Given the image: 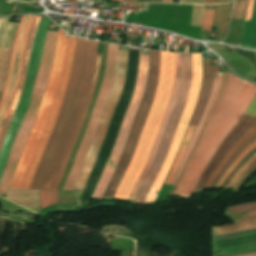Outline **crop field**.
Segmentation results:
<instances>
[{"label":"crop field","mask_w":256,"mask_h":256,"mask_svg":"<svg viewBox=\"0 0 256 256\" xmlns=\"http://www.w3.org/2000/svg\"><path fill=\"white\" fill-rule=\"evenodd\" d=\"M228 76H229V72H227L226 75H225V77H224L222 89H221V91H220V93H219V96H218V98H217V100H216V102H215V105H214V107H213V109H212V111H211V113H210V115H209V117H208V119H207V122H206V125H205L204 129L206 128L208 122L210 121V119H211V117H212V115H213V113H214V110H215V108H216V106H217V103H218V101H219V99H220V97H221V95H222V93H223V91H224V88H225V85H226ZM204 129H203V131H204ZM203 131H202V133H203ZM202 133H201V135H202ZM201 135H200V137H201ZM200 137L198 138V140H197V142H196V144H195V146H194V148H193V151H192V153H191V155H190V157H189V159H188V161H187V163H186V165H185V167H184V169H183V171H182V173H181V175H180V177H179V179H178V181H177V183H176V185H175V187L178 185V183H179V181H180V178H181V176H182V174H183V172H184V170H185V168H186V166H187V164H188V162H189V160H190V158H191V156H192V154H193V152H194V150H195V148H196V146H197V144H198V142H199V140H200Z\"/></svg>","instance_id":"crop-field-29"},{"label":"crop field","mask_w":256,"mask_h":256,"mask_svg":"<svg viewBox=\"0 0 256 256\" xmlns=\"http://www.w3.org/2000/svg\"><path fill=\"white\" fill-rule=\"evenodd\" d=\"M125 2H135V0H124ZM163 2L172 3V0H162ZM161 0H149V2H162ZM136 2H148V0H136Z\"/></svg>","instance_id":"crop-field-41"},{"label":"crop field","mask_w":256,"mask_h":256,"mask_svg":"<svg viewBox=\"0 0 256 256\" xmlns=\"http://www.w3.org/2000/svg\"><path fill=\"white\" fill-rule=\"evenodd\" d=\"M236 1V0H235Z\"/></svg>","instance_id":"crop-field-54"},{"label":"crop field","mask_w":256,"mask_h":256,"mask_svg":"<svg viewBox=\"0 0 256 256\" xmlns=\"http://www.w3.org/2000/svg\"><path fill=\"white\" fill-rule=\"evenodd\" d=\"M26 17L27 16H22L21 22H20V25H19V29H18L17 35H16L15 40H14V44H13V48H12V54H11V60H10V66H9V72H8L7 80H6L4 90H3V93H2V96H1V99H0V114L3 110L5 100H6V96H7V93L9 91V89H10V86H11L15 54H16L20 34H21V31H22L23 25L25 23Z\"/></svg>","instance_id":"crop-field-22"},{"label":"crop field","mask_w":256,"mask_h":256,"mask_svg":"<svg viewBox=\"0 0 256 256\" xmlns=\"http://www.w3.org/2000/svg\"><path fill=\"white\" fill-rule=\"evenodd\" d=\"M32 1H39V0H32Z\"/></svg>","instance_id":"crop-field-52"},{"label":"crop field","mask_w":256,"mask_h":256,"mask_svg":"<svg viewBox=\"0 0 256 256\" xmlns=\"http://www.w3.org/2000/svg\"><path fill=\"white\" fill-rule=\"evenodd\" d=\"M244 256H256V253L250 254V255H244Z\"/></svg>","instance_id":"crop-field-47"},{"label":"crop field","mask_w":256,"mask_h":256,"mask_svg":"<svg viewBox=\"0 0 256 256\" xmlns=\"http://www.w3.org/2000/svg\"><path fill=\"white\" fill-rule=\"evenodd\" d=\"M106 47H107V44L104 43L103 51H102L101 67H100V71H99V76H98L97 84H96L94 93L92 95V98H91V101H90V105H89L86 117L84 119L81 131H80V133H79V135H78V137L76 139V142H75V145L73 147L71 156L69 158L66 171H65V173H64V175H63V177L61 179V182H60V184H59V186L57 188L58 204H78L79 197H80V194L82 192V191H65V190H62V188H63V184H64V182H65V180L67 178L68 172H69V170H70V168H71V166L73 164V158H74V156H75V154L77 152L79 143H80V141H81V139L83 137L86 124H87L88 119H89V117L91 115L92 108H93V105H94V102H95V99H96V96H97V93H98V89H99L100 83H101L102 78H103V73H104V68H105V58H106Z\"/></svg>","instance_id":"crop-field-14"},{"label":"crop field","mask_w":256,"mask_h":256,"mask_svg":"<svg viewBox=\"0 0 256 256\" xmlns=\"http://www.w3.org/2000/svg\"><path fill=\"white\" fill-rule=\"evenodd\" d=\"M229 4L216 5L214 24L219 25L215 41H220L225 33L226 23L230 10Z\"/></svg>","instance_id":"crop-field-24"},{"label":"crop field","mask_w":256,"mask_h":256,"mask_svg":"<svg viewBox=\"0 0 256 256\" xmlns=\"http://www.w3.org/2000/svg\"><path fill=\"white\" fill-rule=\"evenodd\" d=\"M256 132V123L251 127V129L233 146V148L227 153V155L224 157V159L221 161L219 166L214 171L213 175L207 182L204 189H208L210 184L212 183L214 177L217 175V173L222 169V167L225 165V163L228 161V159L231 157V155L239 148V146L247 140L251 135H253Z\"/></svg>","instance_id":"crop-field-25"},{"label":"crop field","mask_w":256,"mask_h":256,"mask_svg":"<svg viewBox=\"0 0 256 256\" xmlns=\"http://www.w3.org/2000/svg\"><path fill=\"white\" fill-rule=\"evenodd\" d=\"M119 46L108 44L106 70L103 82L100 86L99 93L94 105L91 118L87 124L84 137L80 143L78 152L74 158V165L68 175L67 181L63 189L73 190V186L77 180L78 174L84 162L87 151L91 145L92 139L96 132L100 118L102 116L104 107L106 105L108 96L111 91L113 81L115 79L116 64L118 59Z\"/></svg>","instance_id":"crop-field-8"},{"label":"crop field","mask_w":256,"mask_h":256,"mask_svg":"<svg viewBox=\"0 0 256 256\" xmlns=\"http://www.w3.org/2000/svg\"><path fill=\"white\" fill-rule=\"evenodd\" d=\"M215 3V0H205V4Z\"/></svg>","instance_id":"crop-field-43"},{"label":"crop field","mask_w":256,"mask_h":256,"mask_svg":"<svg viewBox=\"0 0 256 256\" xmlns=\"http://www.w3.org/2000/svg\"><path fill=\"white\" fill-rule=\"evenodd\" d=\"M179 82H180V54H176V78H175V82H174L173 89H172V92H171V96H170L169 104H168V107H167V111H166L163 123L161 125L160 131L157 135V139H156V141L153 145L151 155L148 159V163H147L144 171L142 172L140 178L138 179L137 183L135 184V186H134V188H133V190L130 194V197H129L130 202H133V200L135 198V195H136V192H137L140 184L142 183L143 179L145 178V176H146V174H147V172L150 168V165H151V163L154 159L158 144H159V142H160V140L163 136L165 126L168 122V118H169L170 112L172 110L174 101H175V97H176V93H177V90H178Z\"/></svg>","instance_id":"crop-field-17"},{"label":"crop field","mask_w":256,"mask_h":256,"mask_svg":"<svg viewBox=\"0 0 256 256\" xmlns=\"http://www.w3.org/2000/svg\"><path fill=\"white\" fill-rule=\"evenodd\" d=\"M114 1H123V0H114Z\"/></svg>","instance_id":"crop-field-51"},{"label":"crop field","mask_w":256,"mask_h":256,"mask_svg":"<svg viewBox=\"0 0 256 256\" xmlns=\"http://www.w3.org/2000/svg\"><path fill=\"white\" fill-rule=\"evenodd\" d=\"M256 159V154L252 156L242 167L241 169L233 176V178L230 180V182L227 184L226 187H229L232 182L239 176V174L246 168L248 167L254 160ZM241 175V174H240ZM234 183V182H233ZM225 187V188H226Z\"/></svg>","instance_id":"crop-field-37"},{"label":"crop field","mask_w":256,"mask_h":256,"mask_svg":"<svg viewBox=\"0 0 256 256\" xmlns=\"http://www.w3.org/2000/svg\"><path fill=\"white\" fill-rule=\"evenodd\" d=\"M233 0H227V2H232Z\"/></svg>","instance_id":"crop-field-50"},{"label":"crop field","mask_w":256,"mask_h":256,"mask_svg":"<svg viewBox=\"0 0 256 256\" xmlns=\"http://www.w3.org/2000/svg\"><path fill=\"white\" fill-rule=\"evenodd\" d=\"M256 153V148L252 150L250 153H248L241 162L235 167V169L231 172V174L228 176V178L225 180V182L220 186V188H224L225 185L229 182V180L232 178V176L240 169V167L252 156Z\"/></svg>","instance_id":"crop-field-34"},{"label":"crop field","mask_w":256,"mask_h":256,"mask_svg":"<svg viewBox=\"0 0 256 256\" xmlns=\"http://www.w3.org/2000/svg\"><path fill=\"white\" fill-rule=\"evenodd\" d=\"M159 76V52L150 50L149 71L147 84L144 90L142 101L138 107L130 134L126 141L120 161L110 179V182L102 198H112L121 180L126 166L135 150L144 120L151 107Z\"/></svg>","instance_id":"crop-field-7"},{"label":"crop field","mask_w":256,"mask_h":256,"mask_svg":"<svg viewBox=\"0 0 256 256\" xmlns=\"http://www.w3.org/2000/svg\"><path fill=\"white\" fill-rule=\"evenodd\" d=\"M204 5H193L190 25L201 27Z\"/></svg>","instance_id":"crop-field-30"},{"label":"crop field","mask_w":256,"mask_h":256,"mask_svg":"<svg viewBox=\"0 0 256 256\" xmlns=\"http://www.w3.org/2000/svg\"><path fill=\"white\" fill-rule=\"evenodd\" d=\"M245 114L250 115L256 118V94L246 110ZM243 115L237 125L232 129V131L227 135V137L223 140V142L218 147L217 151L213 155L210 162L205 167L202 175L200 176L194 192L202 190L213 171L220 163L222 158L226 155V153L230 150V148L247 132V130L256 122L255 118H252L247 115ZM193 192V193H194Z\"/></svg>","instance_id":"crop-field-13"},{"label":"crop field","mask_w":256,"mask_h":256,"mask_svg":"<svg viewBox=\"0 0 256 256\" xmlns=\"http://www.w3.org/2000/svg\"><path fill=\"white\" fill-rule=\"evenodd\" d=\"M100 56H98L97 54V60H96V67H95V71H94V75H93V79H92V83H91V86H90V89H89V93H88V96H87V99H86V102H85V105H84V108H83V111H82V114H81V117H80V120H79V123H78V126H77V129H76V132L66 150V153H65V156H64V160H63V163H62V166L54 180V184H53V187H52V191H46V190H40V204H41V208L45 207V206H48V205H52V204H57V199H56V188L59 184V181L61 179V176L66 168V164H67V161H68V158L70 156V153H71V150H72V147H73V144L75 142V139L78 135V132L81 128V125H82V122H83V119H84V116L86 114V111H87V108H88V105H89V101H90V98H91V95H92V92L94 90V87H95V83H96V79H97V75H98V71H99V65H100Z\"/></svg>","instance_id":"crop-field-15"},{"label":"crop field","mask_w":256,"mask_h":256,"mask_svg":"<svg viewBox=\"0 0 256 256\" xmlns=\"http://www.w3.org/2000/svg\"><path fill=\"white\" fill-rule=\"evenodd\" d=\"M256 147V141L254 143H252L251 145H249L242 153L241 155L236 159V161L231 165V167L225 172V174L222 176V178L220 179V181L218 182V184L215 186V188H218L223 182L224 180L227 178V176L230 174V172L232 171V169L235 167V165L252 149H254Z\"/></svg>","instance_id":"crop-field-31"},{"label":"crop field","mask_w":256,"mask_h":256,"mask_svg":"<svg viewBox=\"0 0 256 256\" xmlns=\"http://www.w3.org/2000/svg\"><path fill=\"white\" fill-rule=\"evenodd\" d=\"M247 0L235 2L231 17L244 19Z\"/></svg>","instance_id":"crop-field-32"},{"label":"crop field","mask_w":256,"mask_h":256,"mask_svg":"<svg viewBox=\"0 0 256 256\" xmlns=\"http://www.w3.org/2000/svg\"><path fill=\"white\" fill-rule=\"evenodd\" d=\"M98 43L78 38L74 65L57 122L30 189H51L65 150L76 129L91 83Z\"/></svg>","instance_id":"crop-field-2"},{"label":"crop field","mask_w":256,"mask_h":256,"mask_svg":"<svg viewBox=\"0 0 256 256\" xmlns=\"http://www.w3.org/2000/svg\"><path fill=\"white\" fill-rule=\"evenodd\" d=\"M160 76L152 107L129 167L113 198L127 201L150 155L158 128L163 120L175 78V54L160 52Z\"/></svg>","instance_id":"crop-field-4"},{"label":"crop field","mask_w":256,"mask_h":256,"mask_svg":"<svg viewBox=\"0 0 256 256\" xmlns=\"http://www.w3.org/2000/svg\"><path fill=\"white\" fill-rule=\"evenodd\" d=\"M245 214H247L248 216L249 215H254V214H256V211L246 212Z\"/></svg>","instance_id":"crop-field-44"},{"label":"crop field","mask_w":256,"mask_h":256,"mask_svg":"<svg viewBox=\"0 0 256 256\" xmlns=\"http://www.w3.org/2000/svg\"><path fill=\"white\" fill-rule=\"evenodd\" d=\"M222 78H223V73H216L215 74V80H214V84L212 86L210 98H209V100L206 104V107H205V109L202 113V116H201V118H200V120H199L193 134H192L191 141H190L189 147L187 149L186 155L184 157V160H183L177 174L175 175L174 179L171 182L172 185L175 184V182H176V180H177V178H178V176H179V174H180V172H181V170H182V168H183V166H184V164H185V162H186V160H187V158H188V156H189V154H190V152H191V150H192V148H193V146H194V144H195V142H196L203 126H204V124H205V122H206V119H207V117H208V115H209V113H210V111H211V109L214 105V102H215V99L217 97L218 91H219L220 86L222 84Z\"/></svg>","instance_id":"crop-field-18"},{"label":"crop field","mask_w":256,"mask_h":256,"mask_svg":"<svg viewBox=\"0 0 256 256\" xmlns=\"http://www.w3.org/2000/svg\"><path fill=\"white\" fill-rule=\"evenodd\" d=\"M34 17L35 16H30L26 25H25V28H24V32H23V36H22V40H21V46H20V52H19V58H18V65H17V75H16V83L12 89V92L9 96V99H8V102H7V105H6V108H5V111L3 113V116H2V119H1V122H0V131H1V128L6 120V117H7V114H8V111H9V108H10V105H11V102L13 100V97H14V94L16 92V89H17V84H18V79H19V74H20V68H21V63H22V58H23V53H24V48H25V44H26V40H27V36H28V33H29V30H30V27L34 21Z\"/></svg>","instance_id":"crop-field-21"},{"label":"crop field","mask_w":256,"mask_h":256,"mask_svg":"<svg viewBox=\"0 0 256 256\" xmlns=\"http://www.w3.org/2000/svg\"><path fill=\"white\" fill-rule=\"evenodd\" d=\"M226 0H216V3H225Z\"/></svg>","instance_id":"crop-field-46"},{"label":"crop field","mask_w":256,"mask_h":256,"mask_svg":"<svg viewBox=\"0 0 256 256\" xmlns=\"http://www.w3.org/2000/svg\"><path fill=\"white\" fill-rule=\"evenodd\" d=\"M203 67H204V76H203V83L202 89L199 97V101L195 112L192 116L191 122L189 125H196L201 113L205 107L206 101L209 97L211 86L213 84L214 73L219 71V67L223 66H209V61L203 60Z\"/></svg>","instance_id":"crop-field-20"},{"label":"crop field","mask_w":256,"mask_h":256,"mask_svg":"<svg viewBox=\"0 0 256 256\" xmlns=\"http://www.w3.org/2000/svg\"><path fill=\"white\" fill-rule=\"evenodd\" d=\"M48 22H49L48 17L46 16L41 17V20L39 22L38 28L36 30V33L33 39L30 56L28 60V71L26 75L25 87L19 99L16 111L14 113L13 119L6 133V136L1 148V152H0V178L4 169L11 145L13 143L14 137L25 115V111L27 108V104L29 101V97L32 91L33 83H34L35 76L39 66L40 55H41V51H42V47H43V43H44L46 31H47Z\"/></svg>","instance_id":"crop-field-9"},{"label":"crop field","mask_w":256,"mask_h":256,"mask_svg":"<svg viewBox=\"0 0 256 256\" xmlns=\"http://www.w3.org/2000/svg\"><path fill=\"white\" fill-rule=\"evenodd\" d=\"M192 75V64H191V54H181V82L177 94V98L170 115L169 122L166 126L164 137L158 147L155 159L151 165V168L141 184L138 193L136 195L133 204L142 205L145 197L158 175L162 164L166 158L169 146L171 144L172 138L174 136L180 115L185 107L187 92Z\"/></svg>","instance_id":"crop-field-6"},{"label":"crop field","mask_w":256,"mask_h":256,"mask_svg":"<svg viewBox=\"0 0 256 256\" xmlns=\"http://www.w3.org/2000/svg\"><path fill=\"white\" fill-rule=\"evenodd\" d=\"M192 60H193V75H192V81H191V85H190V89L187 97L186 107L181 115L175 136L173 138V141L170 146L164 165L158 177L156 178L154 184L152 185L144 204H154L157 194L161 188L162 182L180 146L187 124L191 118L192 112L195 107L199 89H200L201 75H202L200 54H192Z\"/></svg>","instance_id":"crop-field-11"},{"label":"crop field","mask_w":256,"mask_h":256,"mask_svg":"<svg viewBox=\"0 0 256 256\" xmlns=\"http://www.w3.org/2000/svg\"><path fill=\"white\" fill-rule=\"evenodd\" d=\"M253 4H254V0H249L248 1V6H247L246 17L245 18L251 19Z\"/></svg>","instance_id":"crop-field-39"},{"label":"crop field","mask_w":256,"mask_h":256,"mask_svg":"<svg viewBox=\"0 0 256 256\" xmlns=\"http://www.w3.org/2000/svg\"><path fill=\"white\" fill-rule=\"evenodd\" d=\"M255 93V85L230 73L224 94L174 192L175 195L190 197L205 165L239 121Z\"/></svg>","instance_id":"crop-field-3"},{"label":"crop field","mask_w":256,"mask_h":256,"mask_svg":"<svg viewBox=\"0 0 256 256\" xmlns=\"http://www.w3.org/2000/svg\"><path fill=\"white\" fill-rule=\"evenodd\" d=\"M256 165V160L248 167L246 168L242 173L241 175L234 181V183L230 186V188H234L235 185L240 181V179L254 166Z\"/></svg>","instance_id":"crop-field-38"},{"label":"crop field","mask_w":256,"mask_h":256,"mask_svg":"<svg viewBox=\"0 0 256 256\" xmlns=\"http://www.w3.org/2000/svg\"><path fill=\"white\" fill-rule=\"evenodd\" d=\"M238 45L256 49V0L252 20H245L244 32Z\"/></svg>","instance_id":"crop-field-23"},{"label":"crop field","mask_w":256,"mask_h":256,"mask_svg":"<svg viewBox=\"0 0 256 256\" xmlns=\"http://www.w3.org/2000/svg\"><path fill=\"white\" fill-rule=\"evenodd\" d=\"M256 140V133L250 137L246 142H244L241 147L232 155V157L229 159V161L226 163V165L223 167V169L219 172V174L214 179L212 185L210 188H214L216 183L219 181L221 176L224 174V172L229 168V166L234 162V160L239 156V154L253 141Z\"/></svg>","instance_id":"crop-field-28"},{"label":"crop field","mask_w":256,"mask_h":256,"mask_svg":"<svg viewBox=\"0 0 256 256\" xmlns=\"http://www.w3.org/2000/svg\"><path fill=\"white\" fill-rule=\"evenodd\" d=\"M1 19V18H0Z\"/></svg>","instance_id":"crop-field-53"},{"label":"crop field","mask_w":256,"mask_h":256,"mask_svg":"<svg viewBox=\"0 0 256 256\" xmlns=\"http://www.w3.org/2000/svg\"><path fill=\"white\" fill-rule=\"evenodd\" d=\"M213 248H214V256H216L214 242H213Z\"/></svg>","instance_id":"crop-field-48"},{"label":"crop field","mask_w":256,"mask_h":256,"mask_svg":"<svg viewBox=\"0 0 256 256\" xmlns=\"http://www.w3.org/2000/svg\"><path fill=\"white\" fill-rule=\"evenodd\" d=\"M10 18H2L0 23V96L8 71L13 40L19 25L9 23Z\"/></svg>","instance_id":"crop-field-16"},{"label":"crop field","mask_w":256,"mask_h":256,"mask_svg":"<svg viewBox=\"0 0 256 256\" xmlns=\"http://www.w3.org/2000/svg\"><path fill=\"white\" fill-rule=\"evenodd\" d=\"M181 3L204 4V0H181Z\"/></svg>","instance_id":"crop-field-42"},{"label":"crop field","mask_w":256,"mask_h":256,"mask_svg":"<svg viewBox=\"0 0 256 256\" xmlns=\"http://www.w3.org/2000/svg\"><path fill=\"white\" fill-rule=\"evenodd\" d=\"M56 33L57 32H47L46 35L41 56V62L26 111V115L15 137L0 181V194L3 196L7 190L10 178L14 172L23 144L31 129L32 123L40 105L42 93L49 73Z\"/></svg>","instance_id":"crop-field-5"},{"label":"crop field","mask_w":256,"mask_h":256,"mask_svg":"<svg viewBox=\"0 0 256 256\" xmlns=\"http://www.w3.org/2000/svg\"><path fill=\"white\" fill-rule=\"evenodd\" d=\"M40 17L41 16H36L34 25H33L32 29L29 33V36H28V40H27V44H26V48H25V53H24V58H23V63H22V69H21L18 89H17V92L15 94L14 100L12 102L7 120H6V122L3 126L1 134H0V147H1L2 141L4 139L5 133L7 131V128L10 124L11 119H12L13 113L15 111V108H16L19 96L21 94L22 88L24 86L25 75H26V71H27V60H28V56H29L30 46H31V42H32V39H33V36H34L35 30L37 28Z\"/></svg>","instance_id":"crop-field-19"},{"label":"crop field","mask_w":256,"mask_h":256,"mask_svg":"<svg viewBox=\"0 0 256 256\" xmlns=\"http://www.w3.org/2000/svg\"><path fill=\"white\" fill-rule=\"evenodd\" d=\"M248 252H256V250H254V251H248ZM243 253H247V252H242V253H237V254H243ZM231 255H236V254H231ZM225 256H230V255H225Z\"/></svg>","instance_id":"crop-field-45"},{"label":"crop field","mask_w":256,"mask_h":256,"mask_svg":"<svg viewBox=\"0 0 256 256\" xmlns=\"http://www.w3.org/2000/svg\"><path fill=\"white\" fill-rule=\"evenodd\" d=\"M252 220H256V215L251 216V217H244V218H240V219H234L232 221H233L234 224H236V223L247 222V221H252Z\"/></svg>","instance_id":"crop-field-40"},{"label":"crop field","mask_w":256,"mask_h":256,"mask_svg":"<svg viewBox=\"0 0 256 256\" xmlns=\"http://www.w3.org/2000/svg\"><path fill=\"white\" fill-rule=\"evenodd\" d=\"M214 9L205 10V15L203 19V24L201 29L210 30L212 26Z\"/></svg>","instance_id":"crop-field-35"},{"label":"crop field","mask_w":256,"mask_h":256,"mask_svg":"<svg viewBox=\"0 0 256 256\" xmlns=\"http://www.w3.org/2000/svg\"><path fill=\"white\" fill-rule=\"evenodd\" d=\"M58 29L51 71L40 108L26 139L8 188L29 189L67 88L77 38Z\"/></svg>","instance_id":"crop-field-1"},{"label":"crop field","mask_w":256,"mask_h":256,"mask_svg":"<svg viewBox=\"0 0 256 256\" xmlns=\"http://www.w3.org/2000/svg\"><path fill=\"white\" fill-rule=\"evenodd\" d=\"M72 1H76V0H68V2H72Z\"/></svg>","instance_id":"crop-field-49"},{"label":"crop field","mask_w":256,"mask_h":256,"mask_svg":"<svg viewBox=\"0 0 256 256\" xmlns=\"http://www.w3.org/2000/svg\"><path fill=\"white\" fill-rule=\"evenodd\" d=\"M250 229H256V221L230 225V226L215 227V228H212V232H213V236H215V235L239 232V231L250 230Z\"/></svg>","instance_id":"crop-field-27"},{"label":"crop field","mask_w":256,"mask_h":256,"mask_svg":"<svg viewBox=\"0 0 256 256\" xmlns=\"http://www.w3.org/2000/svg\"><path fill=\"white\" fill-rule=\"evenodd\" d=\"M194 128H195V126H189L188 127V130L186 132V135H185V138L183 140L182 146H181V148L179 150V153H178V155L176 157V160H175V162H174V164H173V166H172V168L170 170V173H169L165 183L170 184L171 180L173 179V177H174V175H175V173H176V171L178 169V166H179V164L181 162V159H182V157H183V155H184V153H185V151H186V149L188 147V144H189V141H190V137H191V134H192Z\"/></svg>","instance_id":"crop-field-26"},{"label":"crop field","mask_w":256,"mask_h":256,"mask_svg":"<svg viewBox=\"0 0 256 256\" xmlns=\"http://www.w3.org/2000/svg\"><path fill=\"white\" fill-rule=\"evenodd\" d=\"M250 234H256V230L244 231V232H240V233H236V234H231V235L216 236V237H213V241H215V240H223V239H231V238H236V237L250 235Z\"/></svg>","instance_id":"crop-field-36"},{"label":"crop field","mask_w":256,"mask_h":256,"mask_svg":"<svg viewBox=\"0 0 256 256\" xmlns=\"http://www.w3.org/2000/svg\"><path fill=\"white\" fill-rule=\"evenodd\" d=\"M127 55H128V51H123V50L119 51L116 79L113 84V88H112L111 94L109 96L107 105L105 107L103 116L101 118L99 127L97 129V132L95 134L92 145H91V147L88 151V154L86 156L85 162H84L81 172L79 174V177H78V180L74 187V190H82L83 189L84 184L87 180L88 174L94 164L96 156H97L99 149L102 145V142L105 137L107 127H108L115 103H116V101L120 95L121 89H122V85H123V81H124V77H125V71H126Z\"/></svg>","instance_id":"crop-field-12"},{"label":"crop field","mask_w":256,"mask_h":256,"mask_svg":"<svg viewBox=\"0 0 256 256\" xmlns=\"http://www.w3.org/2000/svg\"><path fill=\"white\" fill-rule=\"evenodd\" d=\"M147 70H148V56L140 55V63H139V69L137 73L136 83H135V89L132 96V99L130 101L129 107L124 115V120L121 125L116 143L114 145V148L111 152V155L107 161V164L105 166V169L102 173V176L98 182V185L95 189V192L91 199H100L104 189L118 163V160L121 156L125 141L127 139V136L129 134L131 123L134 119L137 107L141 101L143 90L146 84V78H147Z\"/></svg>","instance_id":"crop-field-10"},{"label":"crop field","mask_w":256,"mask_h":256,"mask_svg":"<svg viewBox=\"0 0 256 256\" xmlns=\"http://www.w3.org/2000/svg\"><path fill=\"white\" fill-rule=\"evenodd\" d=\"M250 210H256V204L255 203H249L244 205H238L227 208L224 215L244 212V211H250Z\"/></svg>","instance_id":"crop-field-33"}]
</instances>
